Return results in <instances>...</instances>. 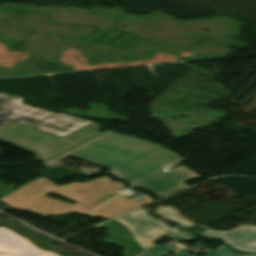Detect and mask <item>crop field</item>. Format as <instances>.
Wrapping results in <instances>:
<instances>
[{
  "mask_svg": "<svg viewBox=\"0 0 256 256\" xmlns=\"http://www.w3.org/2000/svg\"><path fill=\"white\" fill-rule=\"evenodd\" d=\"M70 155L108 167L134 185L185 161L159 145L108 131L44 163L53 166Z\"/></svg>",
  "mask_w": 256,
  "mask_h": 256,
  "instance_id": "obj_1",
  "label": "crop field"
},
{
  "mask_svg": "<svg viewBox=\"0 0 256 256\" xmlns=\"http://www.w3.org/2000/svg\"><path fill=\"white\" fill-rule=\"evenodd\" d=\"M120 187H124V185L120 182L113 183L108 177H99L88 183H72L60 187L51 184L44 178H39L3 197L0 202L19 211L25 210L43 216L72 211L84 214L109 200L110 197L117 194L115 191ZM48 192H54L67 198L70 196L69 199L78 204L71 205L44 196Z\"/></svg>",
  "mask_w": 256,
  "mask_h": 256,
  "instance_id": "obj_2",
  "label": "crop field"
},
{
  "mask_svg": "<svg viewBox=\"0 0 256 256\" xmlns=\"http://www.w3.org/2000/svg\"><path fill=\"white\" fill-rule=\"evenodd\" d=\"M95 122L64 137L13 122L0 130V141L20 150L36 155L32 159L40 162L98 134Z\"/></svg>",
  "mask_w": 256,
  "mask_h": 256,
  "instance_id": "obj_3",
  "label": "crop field"
},
{
  "mask_svg": "<svg viewBox=\"0 0 256 256\" xmlns=\"http://www.w3.org/2000/svg\"><path fill=\"white\" fill-rule=\"evenodd\" d=\"M21 103V100L11 98L0 106V129L16 121L63 136L91 122Z\"/></svg>",
  "mask_w": 256,
  "mask_h": 256,
  "instance_id": "obj_4",
  "label": "crop field"
},
{
  "mask_svg": "<svg viewBox=\"0 0 256 256\" xmlns=\"http://www.w3.org/2000/svg\"><path fill=\"white\" fill-rule=\"evenodd\" d=\"M127 226L144 251L137 256H169L176 252V248L170 246H156L151 243L163 238L172 237L191 241L196 237L171 229L166 223L148 215L140 209L124 217L116 219Z\"/></svg>",
  "mask_w": 256,
  "mask_h": 256,
  "instance_id": "obj_5",
  "label": "crop field"
},
{
  "mask_svg": "<svg viewBox=\"0 0 256 256\" xmlns=\"http://www.w3.org/2000/svg\"><path fill=\"white\" fill-rule=\"evenodd\" d=\"M199 177L201 176L182 165L177 169L148 181L140 186L149 192L162 197L188 186L184 183L185 181Z\"/></svg>",
  "mask_w": 256,
  "mask_h": 256,
  "instance_id": "obj_6",
  "label": "crop field"
},
{
  "mask_svg": "<svg viewBox=\"0 0 256 256\" xmlns=\"http://www.w3.org/2000/svg\"><path fill=\"white\" fill-rule=\"evenodd\" d=\"M202 236L221 239L237 251L256 253L255 226L243 225L229 232L208 230Z\"/></svg>",
  "mask_w": 256,
  "mask_h": 256,
  "instance_id": "obj_7",
  "label": "crop field"
},
{
  "mask_svg": "<svg viewBox=\"0 0 256 256\" xmlns=\"http://www.w3.org/2000/svg\"><path fill=\"white\" fill-rule=\"evenodd\" d=\"M145 200L139 201L137 199L129 200L123 196L107 203L106 205L98 208L90 213V216H103L104 218H113L133 208L152 202V199L145 194L140 195Z\"/></svg>",
  "mask_w": 256,
  "mask_h": 256,
  "instance_id": "obj_8",
  "label": "crop field"
},
{
  "mask_svg": "<svg viewBox=\"0 0 256 256\" xmlns=\"http://www.w3.org/2000/svg\"><path fill=\"white\" fill-rule=\"evenodd\" d=\"M179 212L171 207L157 208V214L167 219L176 221L181 227H190L193 223L181 218Z\"/></svg>",
  "mask_w": 256,
  "mask_h": 256,
  "instance_id": "obj_9",
  "label": "crop field"
},
{
  "mask_svg": "<svg viewBox=\"0 0 256 256\" xmlns=\"http://www.w3.org/2000/svg\"><path fill=\"white\" fill-rule=\"evenodd\" d=\"M173 256H188V255L183 253H176ZM205 256H256V255H236L230 249L222 245L221 247L217 248L216 250L210 252Z\"/></svg>",
  "mask_w": 256,
  "mask_h": 256,
  "instance_id": "obj_10",
  "label": "crop field"
},
{
  "mask_svg": "<svg viewBox=\"0 0 256 256\" xmlns=\"http://www.w3.org/2000/svg\"><path fill=\"white\" fill-rule=\"evenodd\" d=\"M11 97L21 99V98L16 97V96H10V95H6V94H1L0 93V105L3 104L4 102H6L7 100H9Z\"/></svg>",
  "mask_w": 256,
  "mask_h": 256,
  "instance_id": "obj_11",
  "label": "crop field"
}]
</instances>
